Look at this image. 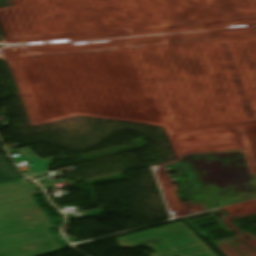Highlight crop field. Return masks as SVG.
Here are the masks:
<instances>
[{
	"label": "crop field",
	"instance_id": "crop-field-3",
	"mask_svg": "<svg viewBox=\"0 0 256 256\" xmlns=\"http://www.w3.org/2000/svg\"><path fill=\"white\" fill-rule=\"evenodd\" d=\"M62 249L48 229L0 233V256H38Z\"/></svg>",
	"mask_w": 256,
	"mask_h": 256
},
{
	"label": "crop field",
	"instance_id": "crop-field-1",
	"mask_svg": "<svg viewBox=\"0 0 256 256\" xmlns=\"http://www.w3.org/2000/svg\"><path fill=\"white\" fill-rule=\"evenodd\" d=\"M114 239L123 247L146 246L158 252L148 256H217L182 221Z\"/></svg>",
	"mask_w": 256,
	"mask_h": 256
},
{
	"label": "crop field",
	"instance_id": "crop-field-4",
	"mask_svg": "<svg viewBox=\"0 0 256 256\" xmlns=\"http://www.w3.org/2000/svg\"><path fill=\"white\" fill-rule=\"evenodd\" d=\"M29 148L11 150L9 151V153L16 151L20 155L18 157L13 158L14 162L27 159V158H29L32 161L34 165L31 166V168L34 172L26 173L25 175L30 176L38 173L47 172L48 171L47 168L49 167L47 165H50L51 163L49 161L40 160L38 157H36L32 152L28 150Z\"/></svg>",
	"mask_w": 256,
	"mask_h": 256
},
{
	"label": "crop field",
	"instance_id": "crop-field-5",
	"mask_svg": "<svg viewBox=\"0 0 256 256\" xmlns=\"http://www.w3.org/2000/svg\"><path fill=\"white\" fill-rule=\"evenodd\" d=\"M18 178H22V176L16 173L12 168H9L0 156V183Z\"/></svg>",
	"mask_w": 256,
	"mask_h": 256
},
{
	"label": "crop field",
	"instance_id": "crop-field-2",
	"mask_svg": "<svg viewBox=\"0 0 256 256\" xmlns=\"http://www.w3.org/2000/svg\"><path fill=\"white\" fill-rule=\"evenodd\" d=\"M34 194L36 189L24 178L0 184V232L54 227L33 200Z\"/></svg>",
	"mask_w": 256,
	"mask_h": 256
}]
</instances>
